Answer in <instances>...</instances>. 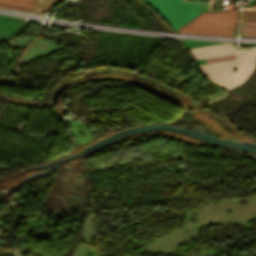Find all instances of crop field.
Segmentation results:
<instances>
[{"instance_id": "crop-field-1", "label": "crop field", "mask_w": 256, "mask_h": 256, "mask_svg": "<svg viewBox=\"0 0 256 256\" xmlns=\"http://www.w3.org/2000/svg\"><path fill=\"white\" fill-rule=\"evenodd\" d=\"M238 14L239 9L206 12L177 31L231 36L236 28Z\"/></svg>"}, {"instance_id": "crop-field-2", "label": "crop field", "mask_w": 256, "mask_h": 256, "mask_svg": "<svg viewBox=\"0 0 256 256\" xmlns=\"http://www.w3.org/2000/svg\"><path fill=\"white\" fill-rule=\"evenodd\" d=\"M176 31L199 14L198 1L188 0H145Z\"/></svg>"}, {"instance_id": "crop-field-3", "label": "crop field", "mask_w": 256, "mask_h": 256, "mask_svg": "<svg viewBox=\"0 0 256 256\" xmlns=\"http://www.w3.org/2000/svg\"><path fill=\"white\" fill-rule=\"evenodd\" d=\"M255 61L256 50L238 52V69L228 79V90L244 82L247 76L254 69Z\"/></svg>"}, {"instance_id": "crop-field-4", "label": "crop field", "mask_w": 256, "mask_h": 256, "mask_svg": "<svg viewBox=\"0 0 256 256\" xmlns=\"http://www.w3.org/2000/svg\"><path fill=\"white\" fill-rule=\"evenodd\" d=\"M59 1L60 0H0V7L40 13Z\"/></svg>"}, {"instance_id": "crop-field-5", "label": "crop field", "mask_w": 256, "mask_h": 256, "mask_svg": "<svg viewBox=\"0 0 256 256\" xmlns=\"http://www.w3.org/2000/svg\"><path fill=\"white\" fill-rule=\"evenodd\" d=\"M207 76L217 85L226 88L225 80L235 69V60L200 66Z\"/></svg>"}, {"instance_id": "crop-field-6", "label": "crop field", "mask_w": 256, "mask_h": 256, "mask_svg": "<svg viewBox=\"0 0 256 256\" xmlns=\"http://www.w3.org/2000/svg\"><path fill=\"white\" fill-rule=\"evenodd\" d=\"M189 51L195 59L236 53L234 47L228 43L191 48Z\"/></svg>"}, {"instance_id": "crop-field-7", "label": "crop field", "mask_w": 256, "mask_h": 256, "mask_svg": "<svg viewBox=\"0 0 256 256\" xmlns=\"http://www.w3.org/2000/svg\"><path fill=\"white\" fill-rule=\"evenodd\" d=\"M28 23L29 21L21 18L0 15V39L13 36Z\"/></svg>"}, {"instance_id": "crop-field-8", "label": "crop field", "mask_w": 256, "mask_h": 256, "mask_svg": "<svg viewBox=\"0 0 256 256\" xmlns=\"http://www.w3.org/2000/svg\"><path fill=\"white\" fill-rule=\"evenodd\" d=\"M243 22H256V8H243Z\"/></svg>"}, {"instance_id": "crop-field-9", "label": "crop field", "mask_w": 256, "mask_h": 256, "mask_svg": "<svg viewBox=\"0 0 256 256\" xmlns=\"http://www.w3.org/2000/svg\"><path fill=\"white\" fill-rule=\"evenodd\" d=\"M244 36H256V23H242Z\"/></svg>"}, {"instance_id": "crop-field-10", "label": "crop field", "mask_w": 256, "mask_h": 256, "mask_svg": "<svg viewBox=\"0 0 256 256\" xmlns=\"http://www.w3.org/2000/svg\"><path fill=\"white\" fill-rule=\"evenodd\" d=\"M236 54L227 55V56H220V57H213L205 59L207 63L211 62H218V61H225V60H232L235 59Z\"/></svg>"}]
</instances>
